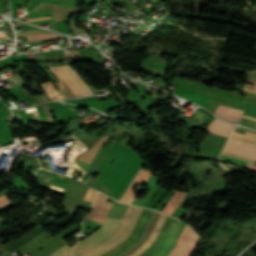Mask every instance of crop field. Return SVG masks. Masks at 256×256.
<instances>
[{"label": "crop field", "mask_w": 256, "mask_h": 256, "mask_svg": "<svg viewBox=\"0 0 256 256\" xmlns=\"http://www.w3.org/2000/svg\"><path fill=\"white\" fill-rule=\"evenodd\" d=\"M247 78H249V79H252V80H255V81H256V78L251 77V76H249V75H248V77H247Z\"/></svg>", "instance_id": "crop-field-37"}, {"label": "crop field", "mask_w": 256, "mask_h": 256, "mask_svg": "<svg viewBox=\"0 0 256 256\" xmlns=\"http://www.w3.org/2000/svg\"><path fill=\"white\" fill-rule=\"evenodd\" d=\"M151 211L144 209L141 216L139 217L132 233L125 239V241L117 246L116 248L108 251L101 256H117L125 250L131 248L142 236L148 222Z\"/></svg>", "instance_id": "crop-field-5"}, {"label": "crop field", "mask_w": 256, "mask_h": 256, "mask_svg": "<svg viewBox=\"0 0 256 256\" xmlns=\"http://www.w3.org/2000/svg\"><path fill=\"white\" fill-rule=\"evenodd\" d=\"M57 36H61V35L50 33V34H44V35L29 36V37H26V39H27V41H30V40L42 39V38H53V37H57Z\"/></svg>", "instance_id": "crop-field-21"}, {"label": "crop field", "mask_w": 256, "mask_h": 256, "mask_svg": "<svg viewBox=\"0 0 256 256\" xmlns=\"http://www.w3.org/2000/svg\"><path fill=\"white\" fill-rule=\"evenodd\" d=\"M142 208L129 205L117 230L108 238L78 256H99L116 247L130 234ZM77 256V255H76Z\"/></svg>", "instance_id": "crop-field-3"}, {"label": "crop field", "mask_w": 256, "mask_h": 256, "mask_svg": "<svg viewBox=\"0 0 256 256\" xmlns=\"http://www.w3.org/2000/svg\"><path fill=\"white\" fill-rule=\"evenodd\" d=\"M106 151H107V149H105L103 147L100 149V151L98 152V154L94 158L93 162L91 163L90 167L88 168L87 172L81 178L82 180L85 181L92 174V172L97 167L98 163L100 162V160L102 159V157H103V155L105 154Z\"/></svg>", "instance_id": "crop-field-17"}, {"label": "crop field", "mask_w": 256, "mask_h": 256, "mask_svg": "<svg viewBox=\"0 0 256 256\" xmlns=\"http://www.w3.org/2000/svg\"><path fill=\"white\" fill-rule=\"evenodd\" d=\"M41 105H42L43 109L45 110V112H46V114H47V116L49 118L50 125L55 124L54 117H53V115H52V113L50 111L48 103L41 104Z\"/></svg>", "instance_id": "crop-field-22"}, {"label": "crop field", "mask_w": 256, "mask_h": 256, "mask_svg": "<svg viewBox=\"0 0 256 256\" xmlns=\"http://www.w3.org/2000/svg\"><path fill=\"white\" fill-rule=\"evenodd\" d=\"M215 114L220 115L232 122L238 123L239 117L242 114V111L236 110V109H231L223 106H218L217 110L215 111ZM219 116V117H220Z\"/></svg>", "instance_id": "crop-field-15"}, {"label": "crop field", "mask_w": 256, "mask_h": 256, "mask_svg": "<svg viewBox=\"0 0 256 256\" xmlns=\"http://www.w3.org/2000/svg\"><path fill=\"white\" fill-rule=\"evenodd\" d=\"M55 70L60 74V76L62 77L63 81L72 89V91L74 92V94L76 95L77 98H80L81 95L80 93L76 90V88L70 83V81L63 75V73L59 70L58 67H54Z\"/></svg>", "instance_id": "crop-field-20"}, {"label": "crop field", "mask_w": 256, "mask_h": 256, "mask_svg": "<svg viewBox=\"0 0 256 256\" xmlns=\"http://www.w3.org/2000/svg\"><path fill=\"white\" fill-rule=\"evenodd\" d=\"M10 202L6 199L2 202H0V207L3 206V205H6V204H9Z\"/></svg>", "instance_id": "crop-field-31"}, {"label": "crop field", "mask_w": 256, "mask_h": 256, "mask_svg": "<svg viewBox=\"0 0 256 256\" xmlns=\"http://www.w3.org/2000/svg\"><path fill=\"white\" fill-rule=\"evenodd\" d=\"M143 163L132 148L115 141L95 170L99 174L91 187L119 200Z\"/></svg>", "instance_id": "crop-field-1"}, {"label": "crop field", "mask_w": 256, "mask_h": 256, "mask_svg": "<svg viewBox=\"0 0 256 256\" xmlns=\"http://www.w3.org/2000/svg\"><path fill=\"white\" fill-rule=\"evenodd\" d=\"M109 139L107 136H103L98 143L89 151L86 148H82L80 152L75 156L85 163L89 164L92 162L94 156L97 154L101 146Z\"/></svg>", "instance_id": "crop-field-11"}, {"label": "crop field", "mask_w": 256, "mask_h": 256, "mask_svg": "<svg viewBox=\"0 0 256 256\" xmlns=\"http://www.w3.org/2000/svg\"><path fill=\"white\" fill-rule=\"evenodd\" d=\"M8 196L5 194L3 196L0 197V201H2L3 199L7 198Z\"/></svg>", "instance_id": "crop-field-33"}, {"label": "crop field", "mask_w": 256, "mask_h": 256, "mask_svg": "<svg viewBox=\"0 0 256 256\" xmlns=\"http://www.w3.org/2000/svg\"><path fill=\"white\" fill-rule=\"evenodd\" d=\"M242 117H244V118H248V119H251V120H255V121H256V119H255V118H252V117H248V116H245V115H243Z\"/></svg>", "instance_id": "crop-field-34"}, {"label": "crop field", "mask_w": 256, "mask_h": 256, "mask_svg": "<svg viewBox=\"0 0 256 256\" xmlns=\"http://www.w3.org/2000/svg\"><path fill=\"white\" fill-rule=\"evenodd\" d=\"M243 85L248 86V87H252V88H256V86H252V85H248V84H244V83H243Z\"/></svg>", "instance_id": "crop-field-35"}, {"label": "crop field", "mask_w": 256, "mask_h": 256, "mask_svg": "<svg viewBox=\"0 0 256 256\" xmlns=\"http://www.w3.org/2000/svg\"><path fill=\"white\" fill-rule=\"evenodd\" d=\"M59 68L66 74V76L75 85V87L81 93L82 97L94 95L93 92L84 83L82 78L74 70H72L68 65L60 66Z\"/></svg>", "instance_id": "crop-field-9"}, {"label": "crop field", "mask_w": 256, "mask_h": 256, "mask_svg": "<svg viewBox=\"0 0 256 256\" xmlns=\"http://www.w3.org/2000/svg\"><path fill=\"white\" fill-rule=\"evenodd\" d=\"M43 33H49V32L43 31V30L30 31V32H21V33H17V37L29 36V35H36V34H43Z\"/></svg>", "instance_id": "crop-field-23"}, {"label": "crop field", "mask_w": 256, "mask_h": 256, "mask_svg": "<svg viewBox=\"0 0 256 256\" xmlns=\"http://www.w3.org/2000/svg\"><path fill=\"white\" fill-rule=\"evenodd\" d=\"M248 168L256 169V165L249 163Z\"/></svg>", "instance_id": "crop-field-32"}, {"label": "crop field", "mask_w": 256, "mask_h": 256, "mask_svg": "<svg viewBox=\"0 0 256 256\" xmlns=\"http://www.w3.org/2000/svg\"><path fill=\"white\" fill-rule=\"evenodd\" d=\"M230 138H234V139H238V140H242V141H246V142H250V143L256 144L255 141H251V140L244 139V138L237 137V136H233V135H231Z\"/></svg>", "instance_id": "crop-field-27"}, {"label": "crop field", "mask_w": 256, "mask_h": 256, "mask_svg": "<svg viewBox=\"0 0 256 256\" xmlns=\"http://www.w3.org/2000/svg\"><path fill=\"white\" fill-rule=\"evenodd\" d=\"M221 154L227 155V156H230V157H234V158H238V159H242V160H246V161H249V162H252V163L256 164L255 160H252V159H249V158H245V157H241V156H237V155H233V154H229V153H224V152H222Z\"/></svg>", "instance_id": "crop-field-24"}, {"label": "crop field", "mask_w": 256, "mask_h": 256, "mask_svg": "<svg viewBox=\"0 0 256 256\" xmlns=\"http://www.w3.org/2000/svg\"><path fill=\"white\" fill-rule=\"evenodd\" d=\"M226 139V137L210 133L201 147L199 157L218 158Z\"/></svg>", "instance_id": "crop-field-6"}, {"label": "crop field", "mask_w": 256, "mask_h": 256, "mask_svg": "<svg viewBox=\"0 0 256 256\" xmlns=\"http://www.w3.org/2000/svg\"><path fill=\"white\" fill-rule=\"evenodd\" d=\"M51 17H42V18H34V19H29L27 20V22H31V21H39V20H45V19H50Z\"/></svg>", "instance_id": "crop-field-28"}, {"label": "crop field", "mask_w": 256, "mask_h": 256, "mask_svg": "<svg viewBox=\"0 0 256 256\" xmlns=\"http://www.w3.org/2000/svg\"><path fill=\"white\" fill-rule=\"evenodd\" d=\"M179 222L180 221L172 223L160 249L158 248L159 250L153 253L151 256H158L159 254L162 253L163 249L165 248L166 244L168 243L169 239L171 238L172 234L177 228ZM184 225L185 224L183 223L179 224L178 228L176 229L175 233L173 234L163 253L159 256H167L170 253ZM198 240L199 238L192 232V230L189 227L185 225L177 243L175 244L172 252L168 256H189L191 252L194 250Z\"/></svg>", "instance_id": "crop-field-2"}, {"label": "crop field", "mask_w": 256, "mask_h": 256, "mask_svg": "<svg viewBox=\"0 0 256 256\" xmlns=\"http://www.w3.org/2000/svg\"><path fill=\"white\" fill-rule=\"evenodd\" d=\"M120 221L107 218L105 223L93 234L78 242L72 256H76L91 246L110 236L117 228Z\"/></svg>", "instance_id": "crop-field-4"}, {"label": "crop field", "mask_w": 256, "mask_h": 256, "mask_svg": "<svg viewBox=\"0 0 256 256\" xmlns=\"http://www.w3.org/2000/svg\"><path fill=\"white\" fill-rule=\"evenodd\" d=\"M247 81L252 83V84H254V85H256V82H254V81H251V80H247Z\"/></svg>", "instance_id": "crop-field-38"}, {"label": "crop field", "mask_w": 256, "mask_h": 256, "mask_svg": "<svg viewBox=\"0 0 256 256\" xmlns=\"http://www.w3.org/2000/svg\"><path fill=\"white\" fill-rule=\"evenodd\" d=\"M242 90H244V91H248V92L256 93V91H255V90L249 89V88L244 87V86H243Z\"/></svg>", "instance_id": "crop-field-30"}, {"label": "crop field", "mask_w": 256, "mask_h": 256, "mask_svg": "<svg viewBox=\"0 0 256 256\" xmlns=\"http://www.w3.org/2000/svg\"><path fill=\"white\" fill-rule=\"evenodd\" d=\"M96 193H97L96 191H94L92 189H89V191H88V193H87V195L85 197V200L93 201Z\"/></svg>", "instance_id": "crop-field-25"}, {"label": "crop field", "mask_w": 256, "mask_h": 256, "mask_svg": "<svg viewBox=\"0 0 256 256\" xmlns=\"http://www.w3.org/2000/svg\"><path fill=\"white\" fill-rule=\"evenodd\" d=\"M234 135H238V136H241V137H245V138H249V139H251V140H255L256 141V139L255 138H251V137H248V136H245V135H242V134H238V133H233Z\"/></svg>", "instance_id": "crop-field-29"}, {"label": "crop field", "mask_w": 256, "mask_h": 256, "mask_svg": "<svg viewBox=\"0 0 256 256\" xmlns=\"http://www.w3.org/2000/svg\"><path fill=\"white\" fill-rule=\"evenodd\" d=\"M186 194L187 193H185V192L176 191V193L173 195V197L170 199V201L167 203V205L162 210L163 213L171 216L172 213L175 211V209L179 206V204L185 198Z\"/></svg>", "instance_id": "crop-field-14"}, {"label": "crop field", "mask_w": 256, "mask_h": 256, "mask_svg": "<svg viewBox=\"0 0 256 256\" xmlns=\"http://www.w3.org/2000/svg\"><path fill=\"white\" fill-rule=\"evenodd\" d=\"M166 218V215L161 214L160 218L158 219L149 239L145 242V244L136 252H134L133 254H131L130 256H139L140 254H142L155 240L164 220Z\"/></svg>", "instance_id": "crop-field-13"}, {"label": "crop field", "mask_w": 256, "mask_h": 256, "mask_svg": "<svg viewBox=\"0 0 256 256\" xmlns=\"http://www.w3.org/2000/svg\"><path fill=\"white\" fill-rule=\"evenodd\" d=\"M42 85L52 100H62L61 95L50 81L42 83Z\"/></svg>", "instance_id": "crop-field-18"}, {"label": "crop field", "mask_w": 256, "mask_h": 256, "mask_svg": "<svg viewBox=\"0 0 256 256\" xmlns=\"http://www.w3.org/2000/svg\"><path fill=\"white\" fill-rule=\"evenodd\" d=\"M58 79V81L60 82V84L62 85V87L57 84V88L60 90L61 94L63 95L64 99H68V98H75L73 92L67 87V85L62 81V79L60 78V76L57 74V72L52 68L49 67L48 68Z\"/></svg>", "instance_id": "crop-field-16"}, {"label": "crop field", "mask_w": 256, "mask_h": 256, "mask_svg": "<svg viewBox=\"0 0 256 256\" xmlns=\"http://www.w3.org/2000/svg\"><path fill=\"white\" fill-rule=\"evenodd\" d=\"M59 38H65L64 36L53 38V39H59ZM46 40H52V39H42V40H35V41H30V42H21L17 44H30V43H35V42H41V41H46Z\"/></svg>", "instance_id": "crop-field-26"}, {"label": "crop field", "mask_w": 256, "mask_h": 256, "mask_svg": "<svg viewBox=\"0 0 256 256\" xmlns=\"http://www.w3.org/2000/svg\"><path fill=\"white\" fill-rule=\"evenodd\" d=\"M150 175L151 174L149 171L140 170V172L138 173V175L136 176L130 187L127 189L120 201L132 204L136 196L133 192L135 187L138 183H145Z\"/></svg>", "instance_id": "crop-field-10"}, {"label": "crop field", "mask_w": 256, "mask_h": 256, "mask_svg": "<svg viewBox=\"0 0 256 256\" xmlns=\"http://www.w3.org/2000/svg\"><path fill=\"white\" fill-rule=\"evenodd\" d=\"M107 197L103 196L102 194H98L94 204L93 210L87 215V218L93 219L101 224L104 223L112 204L106 202Z\"/></svg>", "instance_id": "crop-field-8"}, {"label": "crop field", "mask_w": 256, "mask_h": 256, "mask_svg": "<svg viewBox=\"0 0 256 256\" xmlns=\"http://www.w3.org/2000/svg\"><path fill=\"white\" fill-rule=\"evenodd\" d=\"M74 245L69 247L67 244V245L63 246L62 248H60L59 250H57L56 252H54L53 254H51L50 256H70Z\"/></svg>", "instance_id": "crop-field-19"}, {"label": "crop field", "mask_w": 256, "mask_h": 256, "mask_svg": "<svg viewBox=\"0 0 256 256\" xmlns=\"http://www.w3.org/2000/svg\"><path fill=\"white\" fill-rule=\"evenodd\" d=\"M247 135H250V136H253V137L256 138V134H252V133L247 132Z\"/></svg>", "instance_id": "crop-field-36"}, {"label": "crop field", "mask_w": 256, "mask_h": 256, "mask_svg": "<svg viewBox=\"0 0 256 256\" xmlns=\"http://www.w3.org/2000/svg\"><path fill=\"white\" fill-rule=\"evenodd\" d=\"M235 127H236L235 125L228 124L226 122H223V121L215 118L213 120V122L209 125V127L207 128V131L228 137V135L231 133V131Z\"/></svg>", "instance_id": "crop-field-12"}, {"label": "crop field", "mask_w": 256, "mask_h": 256, "mask_svg": "<svg viewBox=\"0 0 256 256\" xmlns=\"http://www.w3.org/2000/svg\"><path fill=\"white\" fill-rule=\"evenodd\" d=\"M222 151L242 155L256 160V145L250 143L229 138Z\"/></svg>", "instance_id": "crop-field-7"}]
</instances>
